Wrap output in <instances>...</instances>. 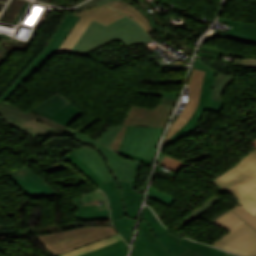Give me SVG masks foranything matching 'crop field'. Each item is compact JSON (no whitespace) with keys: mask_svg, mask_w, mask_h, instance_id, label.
Listing matches in <instances>:
<instances>
[{"mask_svg":"<svg viewBox=\"0 0 256 256\" xmlns=\"http://www.w3.org/2000/svg\"><path fill=\"white\" fill-rule=\"evenodd\" d=\"M117 38L126 46L153 41L138 24L126 16L107 26L91 20L69 53L86 55Z\"/></svg>","mask_w":256,"mask_h":256,"instance_id":"crop-field-1","label":"crop field"},{"mask_svg":"<svg viewBox=\"0 0 256 256\" xmlns=\"http://www.w3.org/2000/svg\"><path fill=\"white\" fill-rule=\"evenodd\" d=\"M222 193L235 195L243 207L256 214V148L237 165L213 180ZM252 214V215H253ZM253 215V216H254Z\"/></svg>","mask_w":256,"mask_h":256,"instance_id":"crop-field-2","label":"crop field"},{"mask_svg":"<svg viewBox=\"0 0 256 256\" xmlns=\"http://www.w3.org/2000/svg\"><path fill=\"white\" fill-rule=\"evenodd\" d=\"M117 235L114 227H80L62 232L36 235L41 245L54 256L74 250L92 242Z\"/></svg>","mask_w":256,"mask_h":256,"instance_id":"crop-field-3","label":"crop field"},{"mask_svg":"<svg viewBox=\"0 0 256 256\" xmlns=\"http://www.w3.org/2000/svg\"><path fill=\"white\" fill-rule=\"evenodd\" d=\"M163 130L128 126L119 153L152 165L157 143Z\"/></svg>","mask_w":256,"mask_h":256,"instance_id":"crop-field-4","label":"crop field"},{"mask_svg":"<svg viewBox=\"0 0 256 256\" xmlns=\"http://www.w3.org/2000/svg\"><path fill=\"white\" fill-rule=\"evenodd\" d=\"M63 159L96 186L114 180L102 155L88 146L70 152Z\"/></svg>","mask_w":256,"mask_h":256,"instance_id":"crop-field-5","label":"crop field"},{"mask_svg":"<svg viewBox=\"0 0 256 256\" xmlns=\"http://www.w3.org/2000/svg\"><path fill=\"white\" fill-rule=\"evenodd\" d=\"M193 67L198 70L206 71L203 88L201 93V98L198 104V107L193 114L191 120L176 134H174L164 145L163 147L193 133L195 130L199 128L198 120L203 115L206 110L213 111V112H220L223 107V101L219 100H211L214 83L217 74L214 73L212 70L204 66L198 60L195 59Z\"/></svg>","mask_w":256,"mask_h":256,"instance_id":"crop-field-6","label":"crop field"},{"mask_svg":"<svg viewBox=\"0 0 256 256\" xmlns=\"http://www.w3.org/2000/svg\"><path fill=\"white\" fill-rule=\"evenodd\" d=\"M81 145H88L97 149L105 158L107 165L116 180L130 181L135 189L141 164L136 161H127L115 154L100 143L83 136L78 132H71Z\"/></svg>","mask_w":256,"mask_h":256,"instance_id":"crop-field-7","label":"crop field"},{"mask_svg":"<svg viewBox=\"0 0 256 256\" xmlns=\"http://www.w3.org/2000/svg\"><path fill=\"white\" fill-rule=\"evenodd\" d=\"M0 116L14 128L20 129L30 136H64L63 132L57 131L43 123L38 122L29 114L22 112L6 102H0ZM10 125V126H11Z\"/></svg>","mask_w":256,"mask_h":256,"instance_id":"crop-field-8","label":"crop field"},{"mask_svg":"<svg viewBox=\"0 0 256 256\" xmlns=\"http://www.w3.org/2000/svg\"><path fill=\"white\" fill-rule=\"evenodd\" d=\"M171 114L170 112L132 106L123 123L124 126L108 147L119 152L127 125L165 128Z\"/></svg>","mask_w":256,"mask_h":256,"instance_id":"crop-field-9","label":"crop field"},{"mask_svg":"<svg viewBox=\"0 0 256 256\" xmlns=\"http://www.w3.org/2000/svg\"><path fill=\"white\" fill-rule=\"evenodd\" d=\"M166 234L176 242L183 239L179 235L164 228L154 213L148 207H145L142 223L133 248V256H144L151 251L146 247Z\"/></svg>","mask_w":256,"mask_h":256,"instance_id":"crop-field-10","label":"crop field"},{"mask_svg":"<svg viewBox=\"0 0 256 256\" xmlns=\"http://www.w3.org/2000/svg\"><path fill=\"white\" fill-rule=\"evenodd\" d=\"M241 256H256V232L245 223L212 244Z\"/></svg>","mask_w":256,"mask_h":256,"instance_id":"crop-field-11","label":"crop field"},{"mask_svg":"<svg viewBox=\"0 0 256 256\" xmlns=\"http://www.w3.org/2000/svg\"><path fill=\"white\" fill-rule=\"evenodd\" d=\"M30 110L64 126H68L81 114V110L64 98L60 93L53 95Z\"/></svg>","mask_w":256,"mask_h":256,"instance_id":"crop-field-12","label":"crop field"},{"mask_svg":"<svg viewBox=\"0 0 256 256\" xmlns=\"http://www.w3.org/2000/svg\"><path fill=\"white\" fill-rule=\"evenodd\" d=\"M31 200L58 194L41 176L36 175L27 165L7 174Z\"/></svg>","mask_w":256,"mask_h":256,"instance_id":"crop-field-13","label":"crop field"},{"mask_svg":"<svg viewBox=\"0 0 256 256\" xmlns=\"http://www.w3.org/2000/svg\"><path fill=\"white\" fill-rule=\"evenodd\" d=\"M76 15L82 16L76 26L72 29L70 35L67 39L62 43L60 48L57 50L58 52H69L76 40L79 38L85 27L88 25L91 19L98 21L104 25L124 16L123 14L114 11L104 5L80 12Z\"/></svg>","mask_w":256,"mask_h":256,"instance_id":"crop-field-14","label":"crop field"},{"mask_svg":"<svg viewBox=\"0 0 256 256\" xmlns=\"http://www.w3.org/2000/svg\"><path fill=\"white\" fill-rule=\"evenodd\" d=\"M204 73L205 72L203 71H198L194 68L192 69L191 76L189 79L190 96L188 103L183 112L181 113V115L170 128L164 140V143L190 120L199 101Z\"/></svg>","mask_w":256,"mask_h":256,"instance_id":"crop-field-15","label":"crop field"},{"mask_svg":"<svg viewBox=\"0 0 256 256\" xmlns=\"http://www.w3.org/2000/svg\"><path fill=\"white\" fill-rule=\"evenodd\" d=\"M218 21L226 23L229 26H232V28L229 29L225 34L214 32L210 38L205 36V38L201 43L202 45L215 36H220V37H225V38H230L234 40L256 44V25L255 24L230 20L222 17H220Z\"/></svg>","mask_w":256,"mask_h":256,"instance_id":"crop-field-16","label":"crop field"},{"mask_svg":"<svg viewBox=\"0 0 256 256\" xmlns=\"http://www.w3.org/2000/svg\"><path fill=\"white\" fill-rule=\"evenodd\" d=\"M98 188H100L108 197L112 221H115L124 216V205L122 202L121 191L118 183L114 180L98 186Z\"/></svg>","mask_w":256,"mask_h":256,"instance_id":"crop-field-17","label":"crop field"},{"mask_svg":"<svg viewBox=\"0 0 256 256\" xmlns=\"http://www.w3.org/2000/svg\"><path fill=\"white\" fill-rule=\"evenodd\" d=\"M123 195L126 216L129 218H137L141 205L143 194L135 191L130 182L118 181Z\"/></svg>","mask_w":256,"mask_h":256,"instance_id":"crop-field-18","label":"crop field"},{"mask_svg":"<svg viewBox=\"0 0 256 256\" xmlns=\"http://www.w3.org/2000/svg\"><path fill=\"white\" fill-rule=\"evenodd\" d=\"M152 251L156 252L155 256H176L188 249L178 245L167 235L155 241L149 247Z\"/></svg>","mask_w":256,"mask_h":256,"instance_id":"crop-field-19","label":"crop field"},{"mask_svg":"<svg viewBox=\"0 0 256 256\" xmlns=\"http://www.w3.org/2000/svg\"><path fill=\"white\" fill-rule=\"evenodd\" d=\"M105 4L134 18L137 22H139L144 27L147 33L154 30L150 25V23L145 18V16H143L136 8L132 7L130 4H127L122 0H114Z\"/></svg>","mask_w":256,"mask_h":256,"instance_id":"crop-field-20","label":"crop field"},{"mask_svg":"<svg viewBox=\"0 0 256 256\" xmlns=\"http://www.w3.org/2000/svg\"><path fill=\"white\" fill-rule=\"evenodd\" d=\"M181 245L189 248L190 250L179 256H224L227 252L220 251L205 245L191 242L187 239L180 241Z\"/></svg>","mask_w":256,"mask_h":256,"instance_id":"crop-field-21","label":"crop field"},{"mask_svg":"<svg viewBox=\"0 0 256 256\" xmlns=\"http://www.w3.org/2000/svg\"><path fill=\"white\" fill-rule=\"evenodd\" d=\"M240 206L239 204L231 208L230 210L226 211L223 213L221 216L216 218L212 223L228 230L231 231L237 226L241 225L244 223L239 217H237L231 210Z\"/></svg>","mask_w":256,"mask_h":256,"instance_id":"crop-field-22","label":"crop field"},{"mask_svg":"<svg viewBox=\"0 0 256 256\" xmlns=\"http://www.w3.org/2000/svg\"><path fill=\"white\" fill-rule=\"evenodd\" d=\"M221 197L217 195H213L210 197L207 201H205L201 206H199L196 210L191 212L189 215L184 217L182 220H180L178 223L180 225L186 226L190 222H192L197 217L201 216L203 213H205L209 208H211L215 203H217Z\"/></svg>","mask_w":256,"mask_h":256,"instance_id":"crop-field-23","label":"crop field"},{"mask_svg":"<svg viewBox=\"0 0 256 256\" xmlns=\"http://www.w3.org/2000/svg\"><path fill=\"white\" fill-rule=\"evenodd\" d=\"M118 240H121L119 235L114 236V237H110L108 239L101 240L99 242L93 243V244L85 246V247H81L77 250H74V251L59 255V256H78V255H82V254H85V253L92 252V251H94L98 248H101V247H103L107 244L113 243V242L118 241Z\"/></svg>","mask_w":256,"mask_h":256,"instance_id":"crop-field-24","label":"crop field"},{"mask_svg":"<svg viewBox=\"0 0 256 256\" xmlns=\"http://www.w3.org/2000/svg\"><path fill=\"white\" fill-rule=\"evenodd\" d=\"M135 221L133 219H129L126 216L113 222L115 228L120 233V235L123 237V239L129 244L130 238L133 232V228L135 225Z\"/></svg>","mask_w":256,"mask_h":256,"instance_id":"crop-field-25","label":"crop field"},{"mask_svg":"<svg viewBox=\"0 0 256 256\" xmlns=\"http://www.w3.org/2000/svg\"><path fill=\"white\" fill-rule=\"evenodd\" d=\"M76 220L79 221H98L110 219L109 210L95 211L85 213L84 209H78V213L75 214Z\"/></svg>","mask_w":256,"mask_h":256,"instance_id":"crop-field-26","label":"crop field"},{"mask_svg":"<svg viewBox=\"0 0 256 256\" xmlns=\"http://www.w3.org/2000/svg\"><path fill=\"white\" fill-rule=\"evenodd\" d=\"M158 164H160L164 167H167L175 172H178L179 170H181L183 167H185L187 165L183 162L177 161V160L167 157L163 154H160Z\"/></svg>","mask_w":256,"mask_h":256,"instance_id":"crop-field-27","label":"crop field"},{"mask_svg":"<svg viewBox=\"0 0 256 256\" xmlns=\"http://www.w3.org/2000/svg\"><path fill=\"white\" fill-rule=\"evenodd\" d=\"M149 198L155 199L157 201L163 202L169 206H171L172 202L174 201V197L154 188L151 187L150 193L148 195Z\"/></svg>","mask_w":256,"mask_h":256,"instance_id":"crop-field-28","label":"crop field"},{"mask_svg":"<svg viewBox=\"0 0 256 256\" xmlns=\"http://www.w3.org/2000/svg\"><path fill=\"white\" fill-rule=\"evenodd\" d=\"M126 246H128V245L123 240H121V241H118L116 243L107 245V246H105L101 249H98V250H96L92 253L85 254V255H82V256H100V255L109 253L111 251H114V250H117V249H120V248H123V247H126Z\"/></svg>","mask_w":256,"mask_h":256,"instance_id":"crop-field-29","label":"crop field"},{"mask_svg":"<svg viewBox=\"0 0 256 256\" xmlns=\"http://www.w3.org/2000/svg\"><path fill=\"white\" fill-rule=\"evenodd\" d=\"M240 218H242L247 224H249L253 229L256 230V215L253 216L249 211H247L242 206L232 210Z\"/></svg>","mask_w":256,"mask_h":256,"instance_id":"crop-field-30","label":"crop field"},{"mask_svg":"<svg viewBox=\"0 0 256 256\" xmlns=\"http://www.w3.org/2000/svg\"><path fill=\"white\" fill-rule=\"evenodd\" d=\"M122 126L116 127V126H110L105 132H103L97 140L101 142L102 144L109 145V143L112 141V139L115 137V135L118 133V131L121 129Z\"/></svg>","mask_w":256,"mask_h":256,"instance_id":"crop-field-31","label":"crop field"},{"mask_svg":"<svg viewBox=\"0 0 256 256\" xmlns=\"http://www.w3.org/2000/svg\"><path fill=\"white\" fill-rule=\"evenodd\" d=\"M233 64L256 66V58H248V59L234 58Z\"/></svg>","mask_w":256,"mask_h":256,"instance_id":"crop-field-32","label":"crop field"},{"mask_svg":"<svg viewBox=\"0 0 256 256\" xmlns=\"http://www.w3.org/2000/svg\"><path fill=\"white\" fill-rule=\"evenodd\" d=\"M68 168H69V167H67L66 165H64L63 163H61V164H58V165H54V166L45 168L44 170H45L47 173H50V172L59 171V170H64V169H68Z\"/></svg>","mask_w":256,"mask_h":256,"instance_id":"crop-field-33","label":"crop field"},{"mask_svg":"<svg viewBox=\"0 0 256 256\" xmlns=\"http://www.w3.org/2000/svg\"><path fill=\"white\" fill-rule=\"evenodd\" d=\"M127 250H128V247H126L124 249H120V250L114 251L112 253H109V254H106V255H103V256H125Z\"/></svg>","mask_w":256,"mask_h":256,"instance_id":"crop-field-34","label":"crop field"},{"mask_svg":"<svg viewBox=\"0 0 256 256\" xmlns=\"http://www.w3.org/2000/svg\"><path fill=\"white\" fill-rule=\"evenodd\" d=\"M153 13H155V12H153ZM153 13H151V14H153ZM156 21V20H155ZM158 23V22H157ZM160 26V25H159ZM163 32H164V30H163ZM164 34L167 36V37H169L168 35H167V33H165L164 32ZM169 39V38H168ZM171 40V39H170ZM172 41V40H171ZM172 42H174V41H172ZM176 45H178L179 47H181L183 50H185L188 54H190L189 53V49H190V47L189 46H187V44H183V43H181V44H178L177 42H174ZM191 55V54H190Z\"/></svg>","mask_w":256,"mask_h":256,"instance_id":"crop-field-35","label":"crop field"},{"mask_svg":"<svg viewBox=\"0 0 256 256\" xmlns=\"http://www.w3.org/2000/svg\"><path fill=\"white\" fill-rule=\"evenodd\" d=\"M72 202L75 208H83L80 198H72Z\"/></svg>","mask_w":256,"mask_h":256,"instance_id":"crop-field-36","label":"crop field"},{"mask_svg":"<svg viewBox=\"0 0 256 256\" xmlns=\"http://www.w3.org/2000/svg\"><path fill=\"white\" fill-rule=\"evenodd\" d=\"M135 4H137L139 7H141L142 9L149 6L147 3H145L143 0H138V1H135L133 2Z\"/></svg>","mask_w":256,"mask_h":256,"instance_id":"crop-field-37","label":"crop field"},{"mask_svg":"<svg viewBox=\"0 0 256 256\" xmlns=\"http://www.w3.org/2000/svg\"><path fill=\"white\" fill-rule=\"evenodd\" d=\"M161 103L175 106L176 101H174V100L162 99Z\"/></svg>","mask_w":256,"mask_h":256,"instance_id":"crop-field-38","label":"crop field"},{"mask_svg":"<svg viewBox=\"0 0 256 256\" xmlns=\"http://www.w3.org/2000/svg\"><path fill=\"white\" fill-rule=\"evenodd\" d=\"M250 144L254 145L256 147V139L252 140L251 142H249Z\"/></svg>","mask_w":256,"mask_h":256,"instance_id":"crop-field-39","label":"crop field"},{"mask_svg":"<svg viewBox=\"0 0 256 256\" xmlns=\"http://www.w3.org/2000/svg\"><path fill=\"white\" fill-rule=\"evenodd\" d=\"M156 253H154V252H149L147 255H145V256H153V255H155Z\"/></svg>","mask_w":256,"mask_h":256,"instance_id":"crop-field-40","label":"crop field"},{"mask_svg":"<svg viewBox=\"0 0 256 256\" xmlns=\"http://www.w3.org/2000/svg\"><path fill=\"white\" fill-rule=\"evenodd\" d=\"M226 256H234V255L228 253Z\"/></svg>","mask_w":256,"mask_h":256,"instance_id":"crop-field-41","label":"crop field"}]
</instances>
